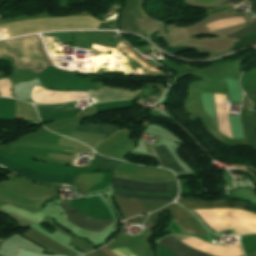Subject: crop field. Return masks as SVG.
Here are the masks:
<instances>
[{
  "label": "crop field",
  "mask_w": 256,
  "mask_h": 256,
  "mask_svg": "<svg viewBox=\"0 0 256 256\" xmlns=\"http://www.w3.org/2000/svg\"><path fill=\"white\" fill-rule=\"evenodd\" d=\"M113 175L135 179L141 181H151V182H166L165 179H170L174 176L169 177H160V178H151V177H137L128 174L115 172ZM122 179L118 177H112V185L116 187H124L129 188L133 191H152V192H168L166 183H151V182H141ZM114 194L118 198H130L137 200H153V201H171L173 200L171 197H162V196H146V195H136L128 192H124L121 190H114Z\"/></svg>",
  "instance_id": "crop-field-1"
},
{
  "label": "crop field",
  "mask_w": 256,
  "mask_h": 256,
  "mask_svg": "<svg viewBox=\"0 0 256 256\" xmlns=\"http://www.w3.org/2000/svg\"><path fill=\"white\" fill-rule=\"evenodd\" d=\"M168 210L174 214V222L183 232L206 235L195 219L181 207L172 204Z\"/></svg>",
  "instance_id": "crop-field-6"
},
{
  "label": "crop field",
  "mask_w": 256,
  "mask_h": 256,
  "mask_svg": "<svg viewBox=\"0 0 256 256\" xmlns=\"http://www.w3.org/2000/svg\"><path fill=\"white\" fill-rule=\"evenodd\" d=\"M167 185H168V188H169V191H170L171 195L172 196H177L178 187H177L176 178L168 180Z\"/></svg>",
  "instance_id": "crop-field-13"
},
{
  "label": "crop field",
  "mask_w": 256,
  "mask_h": 256,
  "mask_svg": "<svg viewBox=\"0 0 256 256\" xmlns=\"http://www.w3.org/2000/svg\"><path fill=\"white\" fill-rule=\"evenodd\" d=\"M191 1L210 4L215 0H191ZM241 1L242 0H231L230 2H241ZM248 1L252 2L250 10L256 14V0H248ZM230 2H228L227 4H229Z\"/></svg>",
  "instance_id": "crop-field-12"
},
{
  "label": "crop field",
  "mask_w": 256,
  "mask_h": 256,
  "mask_svg": "<svg viewBox=\"0 0 256 256\" xmlns=\"http://www.w3.org/2000/svg\"><path fill=\"white\" fill-rule=\"evenodd\" d=\"M0 165L11 169L13 172L37 182H44V183H69L74 184V177L69 176H61L55 174H43L34 170H30L24 167H21L17 164H14L8 160H5L0 157Z\"/></svg>",
  "instance_id": "crop-field-2"
},
{
  "label": "crop field",
  "mask_w": 256,
  "mask_h": 256,
  "mask_svg": "<svg viewBox=\"0 0 256 256\" xmlns=\"http://www.w3.org/2000/svg\"><path fill=\"white\" fill-rule=\"evenodd\" d=\"M155 150L164 167L173 170L182 168L178 161L173 157L166 144L155 146Z\"/></svg>",
  "instance_id": "crop-field-8"
},
{
  "label": "crop field",
  "mask_w": 256,
  "mask_h": 256,
  "mask_svg": "<svg viewBox=\"0 0 256 256\" xmlns=\"http://www.w3.org/2000/svg\"><path fill=\"white\" fill-rule=\"evenodd\" d=\"M96 101V100H95Z\"/></svg>",
  "instance_id": "crop-field-14"
},
{
  "label": "crop field",
  "mask_w": 256,
  "mask_h": 256,
  "mask_svg": "<svg viewBox=\"0 0 256 256\" xmlns=\"http://www.w3.org/2000/svg\"><path fill=\"white\" fill-rule=\"evenodd\" d=\"M246 142L256 150V117L241 116Z\"/></svg>",
  "instance_id": "crop-field-7"
},
{
  "label": "crop field",
  "mask_w": 256,
  "mask_h": 256,
  "mask_svg": "<svg viewBox=\"0 0 256 256\" xmlns=\"http://www.w3.org/2000/svg\"><path fill=\"white\" fill-rule=\"evenodd\" d=\"M119 129H121V128L112 126V125L96 124V125L80 126V127L76 128L74 131L110 135L111 133H113Z\"/></svg>",
  "instance_id": "crop-field-9"
},
{
  "label": "crop field",
  "mask_w": 256,
  "mask_h": 256,
  "mask_svg": "<svg viewBox=\"0 0 256 256\" xmlns=\"http://www.w3.org/2000/svg\"><path fill=\"white\" fill-rule=\"evenodd\" d=\"M181 205L193 210H244L245 204L227 201L203 202L190 198H179L177 200ZM195 213V212H194ZM195 215L207 226V224L195 213ZM208 227V226H207ZM208 229L212 231L209 227ZM213 232V231H212Z\"/></svg>",
  "instance_id": "crop-field-4"
},
{
  "label": "crop field",
  "mask_w": 256,
  "mask_h": 256,
  "mask_svg": "<svg viewBox=\"0 0 256 256\" xmlns=\"http://www.w3.org/2000/svg\"><path fill=\"white\" fill-rule=\"evenodd\" d=\"M255 30H256V22H254V23L248 25V26H247L246 28H244V29L237 30L236 32L231 33V34H229V35H227V36L235 37V38H240V37H243V36H245V35H247V34L253 32V31H255Z\"/></svg>",
  "instance_id": "crop-field-10"
},
{
  "label": "crop field",
  "mask_w": 256,
  "mask_h": 256,
  "mask_svg": "<svg viewBox=\"0 0 256 256\" xmlns=\"http://www.w3.org/2000/svg\"><path fill=\"white\" fill-rule=\"evenodd\" d=\"M159 243L179 256H216L195 248L171 235L164 237Z\"/></svg>",
  "instance_id": "crop-field-5"
},
{
  "label": "crop field",
  "mask_w": 256,
  "mask_h": 256,
  "mask_svg": "<svg viewBox=\"0 0 256 256\" xmlns=\"http://www.w3.org/2000/svg\"><path fill=\"white\" fill-rule=\"evenodd\" d=\"M119 163H120V161H116V160H112V159H108V158H104V157H102L99 160L100 166H104V167L116 168Z\"/></svg>",
  "instance_id": "crop-field-11"
},
{
  "label": "crop field",
  "mask_w": 256,
  "mask_h": 256,
  "mask_svg": "<svg viewBox=\"0 0 256 256\" xmlns=\"http://www.w3.org/2000/svg\"><path fill=\"white\" fill-rule=\"evenodd\" d=\"M58 205L63 209L64 213L69 215L65 218L67 221L90 231L99 232L106 228L108 225L113 223L114 220H98L94 218L87 217L76 209L68 205L66 202L62 201ZM66 217V215H65Z\"/></svg>",
  "instance_id": "crop-field-3"
}]
</instances>
